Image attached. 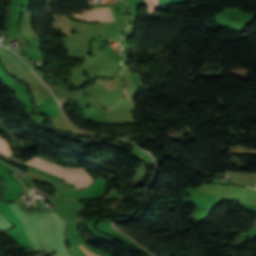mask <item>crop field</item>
I'll list each match as a JSON object with an SVG mask.
<instances>
[{
    "label": "crop field",
    "instance_id": "8a807250",
    "mask_svg": "<svg viewBox=\"0 0 256 256\" xmlns=\"http://www.w3.org/2000/svg\"><path fill=\"white\" fill-rule=\"evenodd\" d=\"M26 163L54 175H57L63 178V180H65L66 182L76 184L75 188H85L93 180L87 175L83 168H66L41 160L36 157L32 158Z\"/></svg>",
    "mask_w": 256,
    "mask_h": 256
},
{
    "label": "crop field",
    "instance_id": "ac0d7876",
    "mask_svg": "<svg viewBox=\"0 0 256 256\" xmlns=\"http://www.w3.org/2000/svg\"><path fill=\"white\" fill-rule=\"evenodd\" d=\"M89 15L73 14L77 19L88 20V21H112L111 15L108 8L97 9L93 11H85Z\"/></svg>",
    "mask_w": 256,
    "mask_h": 256
},
{
    "label": "crop field",
    "instance_id": "34b2d1b8",
    "mask_svg": "<svg viewBox=\"0 0 256 256\" xmlns=\"http://www.w3.org/2000/svg\"><path fill=\"white\" fill-rule=\"evenodd\" d=\"M0 153H3L7 156L11 155V153L7 147V143L5 141H3L2 139H0Z\"/></svg>",
    "mask_w": 256,
    "mask_h": 256
},
{
    "label": "crop field",
    "instance_id": "412701ff",
    "mask_svg": "<svg viewBox=\"0 0 256 256\" xmlns=\"http://www.w3.org/2000/svg\"><path fill=\"white\" fill-rule=\"evenodd\" d=\"M127 60H128V59H127V55H125V54H124V56H123L124 64H126V63H127Z\"/></svg>",
    "mask_w": 256,
    "mask_h": 256
},
{
    "label": "crop field",
    "instance_id": "f4fd0767",
    "mask_svg": "<svg viewBox=\"0 0 256 256\" xmlns=\"http://www.w3.org/2000/svg\"><path fill=\"white\" fill-rule=\"evenodd\" d=\"M160 1H179V0H160Z\"/></svg>",
    "mask_w": 256,
    "mask_h": 256
},
{
    "label": "crop field",
    "instance_id": "dd49c442",
    "mask_svg": "<svg viewBox=\"0 0 256 256\" xmlns=\"http://www.w3.org/2000/svg\"><path fill=\"white\" fill-rule=\"evenodd\" d=\"M256 188V187H255Z\"/></svg>",
    "mask_w": 256,
    "mask_h": 256
}]
</instances>
